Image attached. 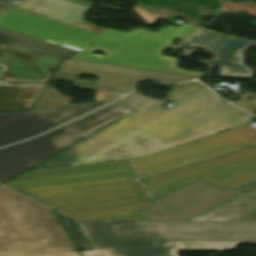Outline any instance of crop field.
<instances>
[{"instance_id": "obj_24", "label": "crop field", "mask_w": 256, "mask_h": 256, "mask_svg": "<svg viewBox=\"0 0 256 256\" xmlns=\"http://www.w3.org/2000/svg\"><path fill=\"white\" fill-rule=\"evenodd\" d=\"M119 96L120 95H109L105 93L96 92L94 102L103 101V100H113Z\"/></svg>"}, {"instance_id": "obj_4", "label": "crop field", "mask_w": 256, "mask_h": 256, "mask_svg": "<svg viewBox=\"0 0 256 256\" xmlns=\"http://www.w3.org/2000/svg\"><path fill=\"white\" fill-rule=\"evenodd\" d=\"M95 249L114 256H177L256 244L253 221H79Z\"/></svg>"}, {"instance_id": "obj_20", "label": "crop field", "mask_w": 256, "mask_h": 256, "mask_svg": "<svg viewBox=\"0 0 256 256\" xmlns=\"http://www.w3.org/2000/svg\"><path fill=\"white\" fill-rule=\"evenodd\" d=\"M205 88L197 82H187L172 87L163 100L176 103L177 101Z\"/></svg>"}, {"instance_id": "obj_1", "label": "crop field", "mask_w": 256, "mask_h": 256, "mask_svg": "<svg viewBox=\"0 0 256 256\" xmlns=\"http://www.w3.org/2000/svg\"><path fill=\"white\" fill-rule=\"evenodd\" d=\"M118 102L136 112L33 169L140 157L243 125L252 117L208 89L167 111L163 102L136 91Z\"/></svg>"}, {"instance_id": "obj_7", "label": "crop field", "mask_w": 256, "mask_h": 256, "mask_svg": "<svg viewBox=\"0 0 256 256\" xmlns=\"http://www.w3.org/2000/svg\"><path fill=\"white\" fill-rule=\"evenodd\" d=\"M143 177L153 199L196 178L236 189L256 179V143Z\"/></svg>"}, {"instance_id": "obj_2", "label": "crop field", "mask_w": 256, "mask_h": 256, "mask_svg": "<svg viewBox=\"0 0 256 256\" xmlns=\"http://www.w3.org/2000/svg\"><path fill=\"white\" fill-rule=\"evenodd\" d=\"M134 176L124 159L29 171L5 184L79 220H142L152 197Z\"/></svg>"}, {"instance_id": "obj_18", "label": "crop field", "mask_w": 256, "mask_h": 256, "mask_svg": "<svg viewBox=\"0 0 256 256\" xmlns=\"http://www.w3.org/2000/svg\"><path fill=\"white\" fill-rule=\"evenodd\" d=\"M59 215L61 221L63 222L64 226L66 227L67 231L69 232L71 238L73 239L76 246L79 250H89L93 249L91 244L89 243L88 239L80 229L79 225L75 220L72 218L56 211Z\"/></svg>"}, {"instance_id": "obj_15", "label": "crop field", "mask_w": 256, "mask_h": 256, "mask_svg": "<svg viewBox=\"0 0 256 256\" xmlns=\"http://www.w3.org/2000/svg\"><path fill=\"white\" fill-rule=\"evenodd\" d=\"M7 6L0 4V12ZM0 49L71 58L78 50L0 27Z\"/></svg>"}, {"instance_id": "obj_21", "label": "crop field", "mask_w": 256, "mask_h": 256, "mask_svg": "<svg viewBox=\"0 0 256 256\" xmlns=\"http://www.w3.org/2000/svg\"><path fill=\"white\" fill-rule=\"evenodd\" d=\"M83 256H111L108 249L94 250L87 252H80ZM20 256H79L75 251L67 252H56V253H44V254H33V255H20Z\"/></svg>"}, {"instance_id": "obj_9", "label": "crop field", "mask_w": 256, "mask_h": 256, "mask_svg": "<svg viewBox=\"0 0 256 256\" xmlns=\"http://www.w3.org/2000/svg\"><path fill=\"white\" fill-rule=\"evenodd\" d=\"M243 126L203 137L166 150L146 155L133 162L139 176H146L199 158L256 142V129Z\"/></svg>"}, {"instance_id": "obj_22", "label": "crop field", "mask_w": 256, "mask_h": 256, "mask_svg": "<svg viewBox=\"0 0 256 256\" xmlns=\"http://www.w3.org/2000/svg\"><path fill=\"white\" fill-rule=\"evenodd\" d=\"M133 9L139 14V16L145 21L146 24L154 25L156 18H164L163 15L150 13L138 6L133 7Z\"/></svg>"}, {"instance_id": "obj_14", "label": "crop field", "mask_w": 256, "mask_h": 256, "mask_svg": "<svg viewBox=\"0 0 256 256\" xmlns=\"http://www.w3.org/2000/svg\"><path fill=\"white\" fill-rule=\"evenodd\" d=\"M92 6L93 4L82 0H24L19 5L13 3L10 7L100 34L106 28L95 26L83 20Z\"/></svg>"}, {"instance_id": "obj_6", "label": "crop field", "mask_w": 256, "mask_h": 256, "mask_svg": "<svg viewBox=\"0 0 256 256\" xmlns=\"http://www.w3.org/2000/svg\"><path fill=\"white\" fill-rule=\"evenodd\" d=\"M133 112L115 102L50 133L0 149V183L11 180Z\"/></svg>"}, {"instance_id": "obj_11", "label": "crop field", "mask_w": 256, "mask_h": 256, "mask_svg": "<svg viewBox=\"0 0 256 256\" xmlns=\"http://www.w3.org/2000/svg\"><path fill=\"white\" fill-rule=\"evenodd\" d=\"M105 103L107 102L0 113V146L38 135Z\"/></svg>"}, {"instance_id": "obj_12", "label": "crop field", "mask_w": 256, "mask_h": 256, "mask_svg": "<svg viewBox=\"0 0 256 256\" xmlns=\"http://www.w3.org/2000/svg\"><path fill=\"white\" fill-rule=\"evenodd\" d=\"M250 46H256V41L202 29L178 46L176 50H180L183 55L191 57L195 53L196 47H202L215 59L212 61L203 60L201 63L219 67L220 71L217 76L251 78V69L242 64L244 59L242 53Z\"/></svg>"}, {"instance_id": "obj_27", "label": "crop field", "mask_w": 256, "mask_h": 256, "mask_svg": "<svg viewBox=\"0 0 256 256\" xmlns=\"http://www.w3.org/2000/svg\"><path fill=\"white\" fill-rule=\"evenodd\" d=\"M1 185V184H0Z\"/></svg>"}, {"instance_id": "obj_10", "label": "crop field", "mask_w": 256, "mask_h": 256, "mask_svg": "<svg viewBox=\"0 0 256 256\" xmlns=\"http://www.w3.org/2000/svg\"><path fill=\"white\" fill-rule=\"evenodd\" d=\"M238 192L196 179L152 200L143 220H187L239 195Z\"/></svg>"}, {"instance_id": "obj_26", "label": "crop field", "mask_w": 256, "mask_h": 256, "mask_svg": "<svg viewBox=\"0 0 256 256\" xmlns=\"http://www.w3.org/2000/svg\"><path fill=\"white\" fill-rule=\"evenodd\" d=\"M14 0H0V2L4 3V4H9Z\"/></svg>"}, {"instance_id": "obj_23", "label": "crop field", "mask_w": 256, "mask_h": 256, "mask_svg": "<svg viewBox=\"0 0 256 256\" xmlns=\"http://www.w3.org/2000/svg\"><path fill=\"white\" fill-rule=\"evenodd\" d=\"M235 105L253 113L256 110V100L249 101L247 99H242L234 102Z\"/></svg>"}, {"instance_id": "obj_8", "label": "crop field", "mask_w": 256, "mask_h": 256, "mask_svg": "<svg viewBox=\"0 0 256 256\" xmlns=\"http://www.w3.org/2000/svg\"><path fill=\"white\" fill-rule=\"evenodd\" d=\"M80 74L98 77L95 82L76 79ZM192 78L194 77L73 59H64L52 77L54 80L73 82V87L120 94L127 93L136 87L138 82L153 80L170 83Z\"/></svg>"}, {"instance_id": "obj_3", "label": "crop field", "mask_w": 256, "mask_h": 256, "mask_svg": "<svg viewBox=\"0 0 256 256\" xmlns=\"http://www.w3.org/2000/svg\"><path fill=\"white\" fill-rule=\"evenodd\" d=\"M0 26L80 50L73 59L200 76L176 68L178 60L165 57L163 50L175 47L172 38L185 39L198 28L168 26L156 33L141 28L122 33L107 29L98 35L38 15L6 8L0 13ZM94 46H90V45ZM169 48V49H170ZM96 50L105 57L92 55Z\"/></svg>"}, {"instance_id": "obj_25", "label": "crop field", "mask_w": 256, "mask_h": 256, "mask_svg": "<svg viewBox=\"0 0 256 256\" xmlns=\"http://www.w3.org/2000/svg\"><path fill=\"white\" fill-rule=\"evenodd\" d=\"M239 220H254V221H256V211L239 219Z\"/></svg>"}, {"instance_id": "obj_5", "label": "crop field", "mask_w": 256, "mask_h": 256, "mask_svg": "<svg viewBox=\"0 0 256 256\" xmlns=\"http://www.w3.org/2000/svg\"><path fill=\"white\" fill-rule=\"evenodd\" d=\"M76 250L53 210L0 186V256Z\"/></svg>"}, {"instance_id": "obj_17", "label": "crop field", "mask_w": 256, "mask_h": 256, "mask_svg": "<svg viewBox=\"0 0 256 256\" xmlns=\"http://www.w3.org/2000/svg\"><path fill=\"white\" fill-rule=\"evenodd\" d=\"M44 85H0V111L29 108Z\"/></svg>"}, {"instance_id": "obj_19", "label": "crop field", "mask_w": 256, "mask_h": 256, "mask_svg": "<svg viewBox=\"0 0 256 256\" xmlns=\"http://www.w3.org/2000/svg\"><path fill=\"white\" fill-rule=\"evenodd\" d=\"M72 98L57 91L54 87L47 85L33 108L66 105L71 103Z\"/></svg>"}, {"instance_id": "obj_16", "label": "crop field", "mask_w": 256, "mask_h": 256, "mask_svg": "<svg viewBox=\"0 0 256 256\" xmlns=\"http://www.w3.org/2000/svg\"><path fill=\"white\" fill-rule=\"evenodd\" d=\"M236 190L244 191L246 193L189 220H236L256 210V180Z\"/></svg>"}, {"instance_id": "obj_13", "label": "crop field", "mask_w": 256, "mask_h": 256, "mask_svg": "<svg viewBox=\"0 0 256 256\" xmlns=\"http://www.w3.org/2000/svg\"><path fill=\"white\" fill-rule=\"evenodd\" d=\"M62 58L0 50V78L5 84L47 83Z\"/></svg>"}]
</instances>
